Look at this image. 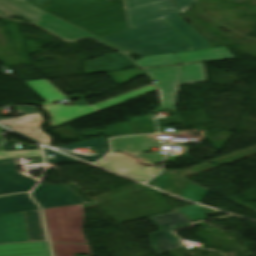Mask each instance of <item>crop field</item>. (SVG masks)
<instances>
[{
    "instance_id": "crop-field-7",
    "label": "crop field",
    "mask_w": 256,
    "mask_h": 256,
    "mask_svg": "<svg viewBox=\"0 0 256 256\" xmlns=\"http://www.w3.org/2000/svg\"><path fill=\"white\" fill-rule=\"evenodd\" d=\"M189 173H192V171L188 170L178 174H173L163 169L161 174L153 180L156 186L163 190L174 193L188 200L202 203L208 189L182 177Z\"/></svg>"
},
{
    "instance_id": "crop-field-6",
    "label": "crop field",
    "mask_w": 256,
    "mask_h": 256,
    "mask_svg": "<svg viewBox=\"0 0 256 256\" xmlns=\"http://www.w3.org/2000/svg\"><path fill=\"white\" fill-rule=\"evenodd\" d=\"M149 219L160 229V232L150 235L153 249L158 254L185 246L180 244L179 239L174 236L170 230L190 225L193 221L177 211L164 215L152 216L149 217Z\"/></svg>"
},
{
    "instance_id": "crop-field-24",
    "label": "crop field",
    "mask_w": 256,
    "mask_h": 256,
    "mask_svg": "<svg viewBox=\"0 0 256 256\" xmlns=\"http://www.w3.org/2000/svg\"><path fill=\"white\" fill-rule=\"evenodd\" d=\"M54 256H76L77 253L89 254L92 256L89 245L75 244H51Z\"/></svg>"
},
{
    "instance_id": "crop-field-22",
    "label": "crop field",
    "mask_w": 256,
    "mask_h": 256,
    "mask_svg": "<svg viewBox=\"0 0 256 256\" xmlns=\"http://www.w3.org/2000/svg\"><path fill=\"white\" fill-rule=\"evenodd\" d=\"M25 83L47 101L39 104L54 103L62 99H67L66 96L54 88L47 79L26 81Z\"/></svg>"
},
{
    "instance_id": "crop-field-19",
    "label": "crop field",
    "mask_w": 256,
    "mask_h": 256,
    "mask_svg": "<svg viewBox=\"0 0 256 256\" xmlns=\"http://www.w3.org/2000/svg\"><path fill=\"white\" fill-rule=\"evenodd\" d=\"M0 256H49L46 242L1 245Z\"/></svg>"
},
{
    "instance_id": "crop-field-18",
    "label": "crop field",
    "mask_w": 256,
    "mask_h": 256,
    "mask_svg": "<svg viewBox=\"0 0 256 256\" xmlns=\"http://www.w3.org/2000/svg\"><path fill=\"white\" fill-rule=\"evenodd\" d=\"M111 143L114 149L129 153L146 152L149 146H159L156 135L114 138Z\"/></svg>"
},
{
    "instance_id": "crop-field-21",
    "label": "crop field",
    "mask_w": 256,
    "mask_h": 256,
    "mask_svg": "<svg viewBox=\"0 0 256 256\" xmlns=\"http://www.w3.org/2000/svg\"><path fill=\"white\" fill-rule=\"evenodd\" d=\"M28 193L0 197V214L38 209Z\"/></svg>"
},
{
    "instance_id": "crop-field-10",
    "label": "crop field",
    "mask_w": 256,
    "mask_h": 256,
    "mask_svg": "<svg viewBox=\"0 0 256 256\" xmlns=\"http://www.w3.org/2000/svg\"><path fill=\"white\" fill-rule=\"evenodd\" d=\"M96 165L111 169L119 174L144 182L155 175L157 167L139 165L132 157L124 153L113 152Z\"/></svg>"
},
{
    "instance_id": "crop-field-1",
    "label": "crop field",
    "mask_w": 256,
    "mask_h": 256,
    "mask_svg": "<svg viewBox=\"0 0 256 256\" xmlns=\"http://www.w3.org/2000/svg\"><path fill=\"white\" fill-rule=\"evenodd\" d=\"M46 11L100 37L128 29L124 8L106 0H52Z\"/></svg>"
},
{
    "instance_id": "crop-field-35",
    "label": "crop field",
    "mask_w": 256,
    "mask_h": 256,
    "mask_svg": "<svg viewBox=\"0 0 256 256\" xmlns=\"http://www.w3.org/2000/svg\"><path fill=\"white\" fill-rule=\"evenodd\" d=\"M96 156H97L98 159L102 157V156H100V155H96Z\"/></svg>"
},
{
    "instance_id": "crop-field-32",
    "label": "crop field",
    "mask_w": 256,
    "mask_h": 256,
    "mask_svg": "<svg viewBox=\"0 0 256 256\" xmlns=\"http://www.w3.org/2000/svg\"><path fill=\"white\" fill-rule=\"evenodd\" d=\"M36 4L37 6L41 7L43 10L48 6L51 0H29Z\"/></svg>"
},
{
    "instance_id": "crop-field-2",
    "label": "crop field",
    "mask_w": 256,
    "mask_h": 256,
    "mask_svg": "<svg viewBox=\"0 0 256 256\" xmlns=\"http://www.w3.org/2000/svg\"><path fill=\"white\" fill-rule=\"evenodd\" d=\"M103 38L140 56L194 50L161 18Z\"/></svg>"
},
{
    "instance_id": "crop-field-28",
    "label": "crop field",
    "mask_w": 256,
    "mask_h": 256,
    "mask_svg": "<svg viewBox=\"0 0 256 256\" xmlns=\"http://www.w3.org/2000/svg\"><path fill=\"white\" fill-rule=\"evenodd\" d=\"M110 76L117 85L130 81L133 77L143 75L142 70H131V71H121V72H110L105 73Z\"/></svg>"
},
{
    "instance_id": "crop-field-9",
    "label": "crop field",
    "mask_w": 256,
    "mask_h": 256,
    "mask_svg": "<svg viewBox=\"0 0 256 256\" xmlns=\"http://www.w3.org/2000/svg\"><path fill=\"white\" fill-rule=\"evenodd\" d=\"M131 28L177 10L169 0H126Z\"/></svg>"
},
{
    "instance_id": "crop-field-3",
    "label": "crop field",
    "mask_w": 256,
    "mask_h": 256,
    "mask_svg": "<svg viewBox=\"0 0 256 256\" xmlns=\"http://www.w3.org/2000/svg\"><path fill=\"white\" fill-rule=\"evenodd\" d=\"M43 211L51 243L88 244L83 232V204Z\"/></svg>"
},
{
    "instance_id": "crop-field-27",
    "label": "crop field",
    "mask_w": 256,
    "mask_h": 256,
    "mask_svg": "<svg viewBox=\"0 0 256 256\" xmlns=\"http://www.w3.org/2000/svg\"><path fill=\"white\" fill-rule=\"evenodd\" d=\"M176 210L179 211L181 214L187 216L188 218H190L193 221L206 218L205 214L217 212V211L203 208V207L196 206V205L177 208Z\"/></svg>"
},
{
    "instance_id": "crop-field-5",
    "label": "crop field",
    "mask_w": 256,
    "mask_h": 256,
    "mask_svg": "<svg viewBox=\"0 0 256 256\" xmlns=\"http://www.w3.org/2000/svg\"><path fill=\"white\" fill-rule=\"evenodd\" d=\"M155 91L153 85L146 86L144 88L131 91L103 102H100L91 106H72L64 107L61 104L52 105V106H43V108L52 115L51 126L57 127L62 124L68 123L70 121L79 119L81 117L90 115L95 112H99L108 107L127 102L133 98H136L140 95Z\"/></svg>"
},
{
    "instance_id": "crop-field-33",
    "label": "crop field",
    "mask_w": 256,
    "mask_h": 256,
    "mask_svg": "<svg viewBox=\"0 0 256 256\" xmlns=\"http://www.w3.org/2000/svg\"><path fill=\"white\" fill-rule=\"evenodd\" d=\"M61 151H63V150H61ZM63 152H66V153H68L70 155L76 156L78 158L84 159V160L89 161V162L93 161V160L89 159L88 157H86L85 155H81V154H77V153H72V152H68V151H63Z\"/></svg>"
},
{
    "instance_id": "crop-field-17",
    "label": "crop field",
    "mask_w": 256,
    "mask_h": 256,
    "mask_svg": "<svg viewBox=\"0 0 256 256\" xmlns=\"http://www.w3.org/2000/svg\"><path fill=\"white\" fill-rule=\"evenodd\" d=\"M85 64L86 66L84 69L86 73L117 70L136 66L131 60L121 53L106 54L103 58L85 61Z\"/></svg>"
},
{
    "instance_id": "crop-field-8",
    "label": "crop field",
    "mask_w": 256,
    "mask_h": 256,
    "mask_svg": "<svg viewBox=\"0 0 256 256\" xmlns=\"http://www.w3.org/2000/svg\"><path fill=\"white\" fill-rule=\"evenodd\" d=\"M25 117L0 118V123L39 143L50 145L48 135L41 132L43 119L37 108L20 107Z\"/></svg>"
},
{
    "instance_id": "crop-field-14",
    "label": "crop field",
    "mask_w": 256,
    "mask_h": 256,
    "mask_svg": "<svg viewBox=\"0 0 256 256\" xmlns=\"http://www.w3.org/2000/svg\"><path fill=\"white\" fill-rule=\"evenodd\" d=\"M36 25L50 31L51 33L57 35V36H60L66 40H75V39H81V38H85V37H88V36H91L119 51H122L126 54H131L130 52L116 46V45H113L109 42H106L102 39H99L73 25H70L46 12H43V14L41 15V17L39 18L38 22L36 23Z\"/></svg>"
},
{
    "instance_id": "crop-field-13",
    "label": "crop field",
    "mask_w": 256,
    "mask_h": 256,
    "mask_svg": "<svg viewBox=\"0 0 256 256\" xmlns=\"http://www.w3.org/2000/svg\"><path fill=\"white\" fill-rule=\"evenodd\" d=\"M179 10L170 13L163 18L171 27L181 34L188 43L195 49L212 47L204 38H202L183 18L178 14L192 5L193 0H172Z\"/></svg>"
},
{
    "instance_id": "crop-field-30",
    "label": "crop field",
    "mask_w": 256,
    "mask_h": 256,
    "mask_svg": "<svg viewBox=\"0 0 256 256\" xmlns=\"http://www.w3.org/2000/svg\"><path fill=\"white\" fill-rule=\"evenodd\" d=\"M44 149H45L46 155L53 154V156H54V159H49L48 157H46L47 163L79 162L77 160H74V159L64 156L62 154L56 153L54 151L48 150L46 148H44Z\"/></svg>"
},
{
    "instance_id": "crop-field-31",
    "label": "crop field",
    "mask_w": 256,
    "mask_h": 256,
    "mask_svg": "<svg viewBox=\"0 0 256 256\" xmlns=\"http://www.w3.org/2000/svg\"><path fill=\"white\" fill-rule=\"evenodd\" d=\"M158 125H170V124H177L178 121L175 117L171 118H164V119H158L156 120Z\"/></svg>"
},
{
    "instance_id": "crop-field-15",
    "label": "crop field",
    "mask_w": 256,
    "mask_h": 256,
    "mask_svg": "<svg viewBox=\"0 0 256 256\" xmlns=\"http://www.w3.org/2000/svg\"><path fill=\"white\" fill-rule=\"evenodd\" d=\"M28 241L23 212L0 216V243Z\"/></svg>"
},
{
    "instance_id": "crop-field-25",
    "label": "crop field",
    "mask_w": 256,
    "mask_h": 256,
    "mask_svg": "<svg viewBox=\"0 0 256 256\" xmlns=\"http://www.w3.org/2000/svg\"><path fill=\"white\" fill-rule=\"evenodd\" d=\"M135 62L141 67L180 63L174 53L144 57L141 60H137Z\"/></svg>"
},
{
    "instance_id": "crop-field-20",
    "label": "crop field",
    "mask_w": 256,
    "mask_h": 256,
    "mask_svg": "<svg viewBox=\"0 0 256 256\" xmlns=\"http://www.w3.org/2000/svg\"><path fill=\"white\" fill-rule=\"evenodd\" d=\"M181 63L230 58L232 54L226 47L175 53Z\"/></svg>"
},
{
    "instance_id": "crop-field-16",
    "label": "crop field",
    "mask_w": 256,
    "mask_h": 256,
    "mask_svg": "<svg viewBox=\"0 0 256 256\" xmlns=\"http://www.w3.org/2000/svg\"><path fill=\"white\" fill-rule=\"evenodd\" d=\"M43 11L25 0H0V16H20L35 25Z\"/></svg>"
},
{
    "instance_id": "crop-field-34",
    "label": "crop field",
    "mask_w": 256,
    "mask_h": 256,
    "mask_svg": "<svg viewBox=\"0 0 256 256\" xmlns=\"http://www.w3.org/2000/svg\"><path fill=\"white\" fill-rule=\"evenodd\" d=\"M101 155H106V154H101ZM90 157L91 159H93L94 161L97 160L96 156L95 155H91V156H88Z\"/></svg>"
},
{
    "instance_id": "crop-field-11",
    "label": "crop field",
    "mask_w": 256,
    "mask_h": 256,
    "mask_svg": "<svg viewBox=\"0 0 256 256\" xmlns=\"http://www.w3.org/2000/svg\"><path fill=\"white\" fill-rule=\"evenodd\" d=\"M33 198L42 208L79 203L86 204L68 185L39 184L33 192Z\"/></svg>"
},
{
    "instance_id": "crop-field-4",
    "label": "crop field",
    "mask_w": 256,
    "mask_h": 256,
    "mask_svg": "<svg viewBox=\"0 0 256 256\" xmlns=\"http://www.w3.org/2000/svg\"><path fill=\"white\" fill-rule=\"evenodd\" d=\"M160 92L162 107L173 110L178 84L205 82L203 63L145 69Z\"/></svg>"
},
{
    "instance_id": "crop-field-26",
    "label": "crop field",
    "mask_w": 256,
    "mask_h": 256,
    "mask_svg": "<svg viewBox=\"0 0 256 256\" xmlns=\"http://www.w3.org/2000/svg\"><path fill=\"white\" fill-rule=\"evenodd\" d=\"M56 147L70 149V150H73L74 148H81V147H92V148H95L96 153L109 152L106 150L105 137H97L95 139L86 140L75 145H61Z\"/></svg>"
},
{
    "instance_id": "crop-field-12",
    "label": "crop field",
    "mask_w": 256,
    "mask_h": 256,
    "mask_svg": "<svg viewBox=\"0 0 256 256\" xmlns=\"http://www.w3.org/2000/svg\"><path fill=\"white\" fill-rule=\"evenodd\" d=\"M12 158L0 160V195L29 191L37 181L16 172Z\"/></svg>"
},
{
    "instance_id": "crop-field-23",
    "label": "crop field",
    "mask_w": 256,
    "mask_h": 256,
    "mask_svg": "<svg viewBox=\"0 0 256 256\" xmlns=\"http://www.w3.org/2000/svg\"><path fill=\"white\" fill-rule=\"evenodd\" d=\"M24 215L29 241L46 239L39 211H25Z\"/></svg>"
},
{
    "instance_id": "crop-field-29",
    "label": "crop field",
    "mask_w": 256,
    "mask_h": 256,
    "mask_svg": "<svg viewBox=\"0 0 256 256\" xmlns=\"http://www.w3.org/2000/svg\"><path fill=\"white\" fill-rule=\"evenodd\" d=\"M25 156H42L39 150L28 151H12V152H0V158L8 157H25Z\"/></svg>"
}]
</instances>
